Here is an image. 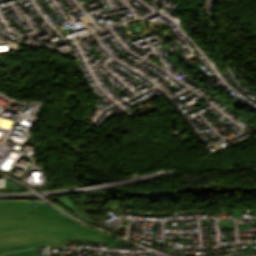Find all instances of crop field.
Instances as JSON below:
<instances>
[{
  "instance_id": "1",
  "label": "crop field",
  "mask_w": 256,
  "mask_h": 256,
  "mask_svg": "<svg viewBox=\"0 0 256 256\" xmlns=\"http://www.w3.org/2000/svg\"><path fill=\"white\" fill-rule=\"evenodd\" d=\"M67 240L112 244L111 236L79 226L46 203L0 201V254L41 245L65 247Z\"/></svg>"
},
{
  "instance_id": "3",
  "label": "crop field",
  "mask_w": 256,
  "mask_h": 256,
  "mask_svg": "<svg viewBox=\"0 0 256 256\" xmlns=\"http://www.w3.org/2000/svg\"><path fill=\"white\" fill-rule=\"evenodd\" d=\"M36 248L30 250L19 251L15 253L5 254L2 256H35Z\"/></svg>"
},
{
  "instance_id": "2",
  "label": "crop field",
  "mask_w": 256,
  "mask_h": 256,
  "mask_svg": "<svg viewBox=\"0 0 256 256\" xmlns=\"http://www.w3.org/2000/svg\"><path fill=\"white\" fill-rule=\"evenodd\" d=\"M54 199L57 202H59L62 206L70 209L75 215H77L82 220H85L87 222L94 224L95 221H93V220L89 219L88 217L84 216L83 214L79 213L66 196L55 197Z\"/></svg>"
}]
</instances>
